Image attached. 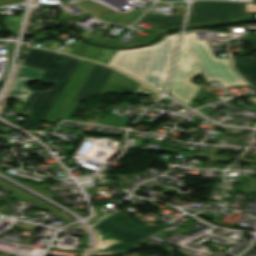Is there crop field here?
Segmentation results:
<instances>
[{"mask_svg":"<svg viewBox=\"0 0 256 256\" xmlns=\"http://www.w3.org/2000/svg\"><path fill=\"white\" fill-rule=\"evenodd\" d=\"M201 73L206 82L218 80L224 88L248 85L232 70L229 58H215L206 41H199L195 33L184 35L169 93L189 106L200 88L191 80Z\"/></svg>","mask_w":256,"mask_h":256,"instance_id":"obj_1","label":"crop field"},{"mask_svg":"<svg viewBox=\"0 0 256 256\" xmlns=\"http://www.w3.org/2000/svg\"><path fill=\"white\" fill-rule=\"evenodd\" d=\"M169 224L155 225L149 228L134 221L128 213L118 211L104 218L93 227L97 233V242L89 256H102L123 253L140 240L166 228Z\"/></svg>","mask_w":256,"mask_h":256,"instance_id":"obj_2","label":"crop field"},{"mask_svg":"<svg viewBox=\"0 0 256 256\" xmlns=\"http://www.w3.org/2000/svg\"><path fill=\"white\" fill-rule=\"evenodd\" d=\"M59 59H63L64 62H58ZM80 62L81 59L57 53L45 75L40 80V83H51L54 86L48 91H33L19 113L30 118L24 128L40 129Z\"/></svg>","mask_w":256,"mask_h":256,"instance_id":"obj_3","label":"crop field"},{"mask_svg":"<svg viewBox=\"0 0 256 256\" xmlns=\"http://www.w3.org/2000/svg\"><path fill=\"white\" fill-rule=\"evenodd\" d=\"M177 40L166 36L159 44L134 50L117 51L107 65L142 82L158 52L174 51Z\"/></svg>","mask_w":256,"mask_h":256,"instance_id":"obj_4","label":"crop field"},{"mask_svg":"<svg viewBox=\"0 0 256 256\" xmlns=\"http://www.w3.org/2000/svg\"><path fill=\"white\" fill-rule=\"evenodd\" d=\"M245 3L238 2H193L187 24L210 23L230 18H240L244 13Z\"/></svg>","mask_w":256,"mask_h":256,"instance_id":"obj_5","label":"crop field"},{"mask_svg":"<svg viewBox=\"0 0 256 256\" xmlns=\"http://www.w3.org/2000/svg\"><path fill=\"white\" fill-rule=\"evenodd\" d=\"M94 62L83 60L80 66L77 68L74 76L68 83L65 90L62 92L59 100L53 106L48 118H61L65 110L69 106L72 99H74L85 78L93 67Z\"/></svg>","mask_w":256,"mask_h":256,"instance_id":"obj_6","label":"crop field"},{"mask_svg":"<svg viewBox=\"0 0 256 256\" xmlns=\"http://www.w3.org/2000/svg\"><path fill=\"white\" fill-rule=\"evenodd\" d=\"M174 52L158 53L142 83L163 92Z\"/></svg>","mask_w":256,"mask_h":256,"instance_id":"obj_7","label":"crop field"},{"mask_svg":"<svg viewBox=\"0 0 256 256\" xmlns=\"http://www.w3.org/2000/svg\"><path fill=\"white\" fill-rule=\"evenodd\" d=\"M113 70L95 63L75 99L85 101L91 96L100 95Z\"/></svg>","mask_w":256,"mask_h":256,"instance_id":"obj_8","label":"crop field"},{"mask_svg":"<svg viewBox=\"0 0 256 256\" xmlns=\"http://www.w3.org/2000/svg\"><path fill=\"white\" fill-rule=\"evenodd\" d=\"M44 71L21 66L9 99L26 101L33 90L27 88L30 81H39Z\"/></svg>","mask_w":256,"mask_h":256,"instance_id":"obj_9","label":"crop field"},{"mask_svg":"<svg viewBox=\"0 0 256 256\" xmlns=\"http://www.w3.org/2000/svg\"><path fill=\"white\" fill-rule=\"evenodd\" d=\"M55 55L56 53L52 51L32 48L22 64L46 71Z\"/></svg>","mask_w":256,"mask_h":256,"instance_id":"obj_10","label":"crop field"},{"mask_svg":"<svg viewBox=\"0 0 256 256\" xmlns=\"http://www.w3.org/2000/svg\"><path fill=\"white\" fill-rule=\"evenodd\" d=\"M183 16L146 14L141 21L160 24V29L171 28L181 24Z\"/></svg>","mask_w":256,"mask_h":256,"instance_id":"obj_11","label":"crop field"},{"mask_svg":"<svg viewBox=\"0 0 256 256\" xmlns=\"http://www.w3.org/2000/svg\"><path fill=\"white\" fill-rule=\"evenodd\" d=\"M235 65L241 74L254 86L256 85V70L249 57L234 58ZM235 67V68H236Z\"/></svg>","mask_w":256,"mask_h":256,"instance_id":"obj_12","label":"crop field"},{"mask_svg":"<svg viewBox=\"0 0 256 256\" xmlns=\"http://www.w3.org/2000/svg\"><path fill=\"white\" fill-rule=\"evenodd\" d=\"M102 51L103 49L90 47L84 58L97 61Z\"/></svg>","mask_w":256,"mask_h":256,"instance_id":"obj_13","label":"crop field"},{"mask_svg":"<svg viewBox=\"0 0 256 256\" xmlns=\"http://www.w3.org/2000/svg\"><path fill=\"white\" fill-rule=\"evenodd\" d=\"M116 50H111V49H104L103 53L98 59V62L106 64L108 60L114 55Z\"/></svg>","mask_w":256,"mask_h":256,"instance_id":"obj_14","label":"crop field"},{"mask_svg":"<svg viewBox=\"0 0 256 256\" xmlns=\"http://www.w3.org/2000/svg\"><path fill=\"white\" fill-rule=\"evenodd\" d=\"M89 46L84 45V44H79L78 47L76 48L75 52L73 55L84 57L86 51L88 50Z\"/></svg>","mask_w":256,"mask_h":256,"instance_id":"obj_15","label":"crop field"},{"mask_svg":"<svg viewBox=\"0 0 256 256\" xmlns=\"http://www.w3.org/2000/svg\"><path fill=\"white\" fill-rule=\"evenodd\" d=\"M246 41L249 42L253 47L256 48V38H246ZM254 67L256 68V58L250 57Z\"/></svg>","mask_w":256,"mask_h":256,"instance_id":"obj_16","label":"crop field"},{"mask_svg":"<svg viewBox=\"0 0 256 256\" xmlns=\"http://www.w3.org/2000/svg\"><path fill=\"white\" fill-rule=\"evenodd\" d=\"M18 0H0V6L17 3Z\"/></svg>","mask_w":256,"mask_h":256,"instance_id":"obj_17","label":"crop field"},{"mask_svg":"<svg viewBox=\"0 0 256 256\" xmlns=\"http://www.w3.org/2000/svg\"><path fill=\"white\" fill-rule=\"evenodd\" d=\"M173 36L177 39L178 38V33L173 34Z\"/></svg>","mask_w":256,"mask_h":256,"instance_id":"obj_18","label":"crop field"}]
</instances>
